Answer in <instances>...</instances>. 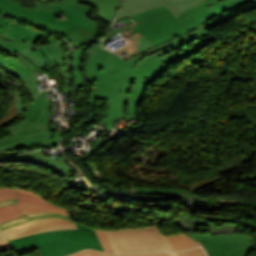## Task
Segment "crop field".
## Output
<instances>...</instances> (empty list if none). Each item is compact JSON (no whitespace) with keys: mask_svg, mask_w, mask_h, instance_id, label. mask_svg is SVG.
I'll return each mask as SVG.
<instances>
[{"mask_svg":"<svg viewBox=\"0 0 256 256\" xmlns=\"http://www.w3.org/2000/svg\"><path fill=\"white\" fill-rule=\"evenodd\" d=\"M230 13L128 61L99 47L102 40L73 50L76 89L84 85H94L88 102L93 112L88 120H81L80 126L92 122L97 98L108 99L109 102L105 130L112 129L115 120L125 118L126 112L136 113L147 83H152L170 64L181 61L212 42L215 37L204 28L230 16Z\"/></svg>","mask_w":256,"mask_h":256,"instance_id":"obj_1","label":"crop field"},{"mask_svg":"<svg viewBox=\"0 0 256 256\" xmlns=\"http://www.w3.org/2000/svg\"><path fill=\"white\" fill-rule=\"evenodd\" d=\"M236 8L230 0H206L177 14L185 26L166 6L132 15L129 18L138 32L157 46Z\"/></svg>","mask_w":256,"mask_h":256,"instance_id":"obj_2","label":"crop field"},{"mask_svg":"<svg viewBox=\"0 0 256 256\" xmlns=\"http://www.w3.org/2000/svg\"><path fill=\"white\" fill-rule=\"evenodd\" d=\"M19 5V2L12 0H0V14L11 17L17 11L36 19L75 25L87 32L93 40L99 34L100 27L88 18L94 10L89 5H82L78 0H62L48 4L38 3L35 10Z\"/></svg>","mask_w":256,"mask_h":256,"instance_id":"obj_3","label":"crop field"},{"mask_svg":"<svg viewBox=\"0 0 256 256\" xmlns=\"http://www.w3.org/2000/svg\"><path fill=\"white\" fill-rule=\"evenodd\" d=\"M44 34L21 24L17 28L7 25L0 35V51L17 57L35 72L55 67L46 45L33 46Z\"/></svg>","mask_w":256,"mask_h":256,"instance_id":"obj_4","label":"crop field"},{"mask_svg":"<svg viewBox=\"0 0 256 256\" xmlns=\"http://www.w3.org/2000/svg\"><path fill=\"white\" fill-rule=\"evenodd\" d=\"M77 227L78 229L42 232L10 240L9 242L12 247H14L34 238L41 256H65L85 248H93L103 251L93 229L81 225H77Z\"/></svg>","mask_w":256,"mask_h":256,"instance_id":"obj_5","label":"crop field"},{"mask_svg":"<svg viewBox=\"0 0 256 256\" xmlns=\"http://www.w3.org/2000/svg\"><path fill=\"white\" fill-rule=\"evenodd\" d=\"M115 252H174L157 226L105 231Z\"/></svg>","mask_w":256,"mask_h":256,"instance_id":"obj_6","label":"crop field"},{"mask_svg":"<svg viewBox=\"0 0 256 256\" xmlns=\"http://www.w3.org/2000/svg\"><path fill=\"white\" fill-rule=\"evenodd\" d=\"M188 235L193 237L204 247L208 256H247L251 250L256 248L243 233L224 235Z\"/></svg>","mask_w":256,"mask_h":256,"instance_id":"obj_7","label":"crop field"},{"mask_svg":"<svg viewBox=\"0 0 256 256\" xmlns=\"http://www.w3.org/2000/svg\"><path fill=\"white\" fill-rule=\"evenodd\" d=\"M204 0H124L123 5L117 15L121 18L137 12H141L159 5L168 6L173 13L177 14L191 6H194ZM237 6L253 0H231Z\"/></svg>","mask_w":256,"mask_h":256,"instance_id":"obj_8","label":"crop field"},{"mask_svg":"<svg viewBox=\"0 0 256 256\" xmlns=\"http://www.w3.org/2000/svg\"><path fill=\"white\" fill-rule=\"evenodd\" d=\"M10 135L19 147H51L54 133L29 121H23L9 129ZM51 140V142H49Z\"/></svg>","mask_w":256,"mask_h":256,"instance_id":"obj_9","label":"crop field"},{"mask_svg":"<svg viewBox=\"0 0 256 256\" xmlns=\"http://www.w3.org/2000/svg\"><path fill=\"white\" fill-rule=\"evenodd\" d=\"M12 18H15L17 20L57 33L67 38L75 47L93 41L88 34H86L83 30L75 26L36 20V19L25 17L16 12L12 16Z\"/></svg>","mask_w":256,"mask_h":256,"instance_id":"obj_10","label":"crop field"},{"mask_svg":"<svg viewBox=\"0 0 256 256\" xmlns=\"http://www.w3.org/2000/svg\"><path fill=\"white\" fill-rule=\"evenodd\" d=\"M65 228H76L74 221L58 219V218H48L39 219L25 224H21L4 231L7 239H14L29 234L52 230V229H65Z\"/></svg>","mask_w":256,"mask_h":256,"instance_id":"obj_11","label":"crop field"},{"mask_svg":"<svg viewBox=\"0 0 256 256\" xmlns=\"http://www.w3.org/2000/svg\"><path fill=\"white\" fill-rule=\"evenodd\" d=\"M10 162H18V163H30L37 164L48 168L51 172L60 174L63 172L74 171V169L69 166L61 156L56 158L48 157L46 158L40 152H30V153H21L15 154L6 157H0L1 163H10Z\"/></svg>","mask_w":256,"mask_h":256,"instance_id":"obj_12","label":"crop field"},{"mask_svg":"<svg viewBox=\"0 0 256 256\" xmlns=\"http://www.w3.org/2000/svg\"><path fill=\"white\" fill-rule=\"evenodd\" d=\"M99 192L110 196H116L120 198H141V199H176V198H186L180 195L179 191L172 190H150V189H130L126 196L120 195L118 192H113L100 188Z\"/></svg>","mask_w":256,"mask_h":256,"instance_id":"obj_13","label":"crop field"},{"mask_svg":"<svg viewBox=\"0 0 256 256\" xmlns=\"http://www.w3.org/2000/svg\"><path fill=\"white\" fill-rule=\"evenodd\" d=\"M36 99L28 107V111H25L23 118L46 129L49 118V100L45 91L41 92Z\"/></svg>","mask_w":256,"mask_h":256,"instance_id":"obj_14","label":"crop field"},{"mask_svg":"<svg viewBox=\"0 0 256 256\" xmlns=\"http://www.w3.org/2000/svg\"><path fill=\"white\" fill-rule=\"evenodd\" d=\"M127 40V45L114 51V53L118 55L125 51L128 52L129 54L125 56L127 60L132 56L146 52L154 47V45H152L139 33L127 38Z\"/></svg>","mask_w":256,"mask_h":256,"instance_id":"obj_15","label":"crop field"},{"mask_svg":"<svg viewBox=\"0 0 256 256\" xmlns=\"http://www.w3.org/2000/svg\"><path fill=\"white\" fill-rule=\"evenodd\" d=\"M97 8V16L111 24V21L119 7L120 0H81Z\"/></svg>","mask_w":256,"mask_h":256,"instance_id":"obj_16","label":"crop field"},{"mask_svg":"<svg viewBox=\"0 0 256 256\" xmlns=\"http://www.w3.org/2000/svg\"><path fill=\"white\" fill-rule=\"evenodd\" d=\"M0 68H3L7 73L14 77H21L32 73V69L22 63L15 57L7 59L0 56ZM24 68V69H23Z\"/></svg>","mask_w":256,"mask_h":256,"instance_id":"obj_17","label":"crop field"},{"mask_svg":"<svg viewBox=\"0 0 256 256\" xmlns=\"http://www.w3.org/2000/svg\"><path fill=\"white\" fill-rule=\"evenodd\" d=\"M48 217H58V218H65V219H71V216L64 215L62 213H57V212H37V213H31L24 215L20 218H17L13 221L6 222L3 224H0L1 230H5L7 228L13 227L15 225L25 223L31 220L39 219V218H48ZM72 220V219H71Z\"/></svg>","mask_w":256,"mask_h":256,"instance_id":"obj_18","label":"crop field"},{"mask_svg":"<svg viewBox=\"0 0 256 256\" xmlns=\"http://www.w3.org/2000/svg\"><path fill=\"white\" fill-rule=\"evenodd\" d=\"M18 191V200L19 204H34L39 206H46L51 208H57L66 210L69 212L68 209L53 206L49 203H47L45 200H43L39 195L32 193L31 191L23 190V189H17Z\"/></svg>","mask_w":256,"mask_h":256,"instance_id":"obj_19","label":"crop field"},{"mask_svg":"<svg viewBox=\"0 0 256 256\" xmlns=\"http://www.w3.org/2000/svg\"><path fill=\"white\" fill-rule=\"evenodd\" d=\"M174 251L184 250L199 246L195 241L184 234L166 236Z\"/></svg>","mask_w":256,"mask_h":256,"instance_id":"obj_20","label":"crop field"},{"mask_svg":"<svg viewBox=\"0 0 256 256\" xmlns=\"http://www.w3.org/2000/svg\"><path fill=\"white\" fill-rule=\"evenodd\" d=\"M57 65L70 64L67 49H61L60 44L47 45Z\"/></svg>","mask_w":256,"mask_h":256,"instance_id":"obj_21","label":"crop field"},{"mask_svg":"<svg viewBox=\"0 0 256 256\" xmlns=\"http://www.w3.org/2000/svg\"><path fill=\"white\" fill-rule=\"evenodd\" d=\"M20 90H21V85H17V88L15 89L14 97H13V100H12V102L14 103V105L18 109L17 115L14 118H12L10 121H8L5 124L1 125L0 128L5 126L6 124L12 122L17 117L22 118V116L24 114V111H22V107L27 106L28 102L25 101V99L22 96L23 94L20 92Z\"/></svg>","mask_w":256,"mask_h":256,"instance_id":"obj_22","label":"crop field"},{"mask_svg":"<svg viewBox=\"0 0 256 256\" xmlns=\"http://www.w3.org/2000/svg\"><path fill=\"white\" fill-rule=\"evenodd\" d=\"M41 72L45 73V71H40V72H37V73H41ZM34 74H36V73H34ZM19 79L25 85V89H26L30 99L32 100L33 98H35L39 91L36 87L37 84H36V81L34 79L33 74L21 77ZM29 83H31V85H29Z\"/></svg>","mask_w":256,"mask_h":256,"instance_id":"obj_23","label":"crop field"},{"mask_svg":"<svg viewBox=\"0 0 256 256\" xmlns=\"http://www.w3.org/2000/svg\"><path fill=\"white\" fill-rule=\"evenodd\" d=\"M21 215L17 204L0 207V223Z\"/></svg>","mask_w":256,"mask_h":256,"instance_id":"obj_24","label":"crop field"},{"mask_svg":"<svg viewBox=\"0 0 256 256\" xmlns=\"http://www.w3.org/2000/svg\"><path fill=\"white\" fill-rule=\"evenodd\" d=\"M21 208V211L23 214L31 213V212H37V211H57V212H62L64 214L70 215V213L61 211V210H56V209H51V208H46V207H39V206H34V205H19Z\"/></svg>","mask_w":256,"mask_h":256,"instance_id":"obj_25","label":"crop field"},{"mask_svg":"<svg viewBox=\"0 0 256 256\" xmlns=\"http://www.w3.org/2000/svg\"><path fill=\"white\" fill-rule=\"evenodd\" d=\"M123 30H126L128 33H125L123 32ZM120 33L122 36H124L125 38L137 33V30L135 29V27L133 26V24L131 25H128V26H125V27H122V28H119V29H116V30H113V31H110L108 32L107 36L105 39L115 35L116 33Z\"/></svg>","mask_w":256,"mask_h":256,"instance_id":"obj_26","label":"crop field"},{"mask_svg":"<svg viewBox=\"0 0 256 256\" xmlns=\"http://www.w3.org/2000/svg\"><path fill=\"white\" fill-rule=\"evenodd\" d=\"M99 240H100V243L104 249L105 252H110V253H114L105 233H104V230H95Z\"/></svg>","mask_w":256,"mask_h":256,"instance_id":"obj_27","label":"crop field"},{"mask_svg":"<svg viewBox=\"0 0 256 256\" xmlns=\"http://www.w3.org/2000/svg\"><path fill=\"white\" fill-rule=\"evenodd\" d=\"M19 149L10 136L0 139V151Z\"/></svg>","mask_w":256,"mask_h":256,"instance_id":"obj_28","label":"crop field"},{"mask_svg":"<svg viewBox=\"0 0 256 256\" xmlns=\"http://www.w3.org/2000/svg\"><path fill=\"white\" fill-rule=\"evenodd\" d=\"M16 198L15 188L0 187V201Z\"/></svg>","mask_w":256,"mask_h":256,"instance_id":"obj_29","label":"crop field"},{"mask_svg":"<svg viewBox=\"0 0 256 256\" xmlns=\"http://www.w3.org/2000/svg\"><path fill=\"white\" fill-rule=\"evenodd\" d=\"M69 68L70 65L59 66L60 76L65 79L66 87H71Z\"/></svg>","mask_w":256,"mask_h":256,"instance_id":"obj_30","label":"crop field"},{"mask_svg":"<svg viewBox=\"0 0 256 256\" xmlns=\"http://www.w3.org/2000/svg\"><path fill=\"white\" fill-rule=\"evenodd\" d=\"M70 256H116L115 254H106L102 252H97L93 250H84L81 252H78L76 254L70 255Z\"/></svg>","mask_w":256,"mask_h":256,"instance_id":"obj_31","label":"crop field"},{"mask_svg":"<svg viewBox=\"0 0 256 256\" xmlns=\"http://www.w3.org/2000/svg\"><path fill=\"white\" fill-rule=\"evenodd\" d=\"M178 256H206L202 248L177 253Z\"/></svg>","mask_w":256,"mask_h":256,"instance_id":"obj_32","label":"crop field"},{"mask_svg":"<svg viewBox=\"0 0 256 256\" xmlns=\"http://www.w3.org/2000/svg\"><path fill=\"white\" fill-rule=\"evenodd\" d=\"M120 132V131H119ZM118 132V133H119ZM116 135V134H115ZM113 139H115V138H109V136L108 137H106L104 140H102V141H100V140H98V139H96L95 140V142H94V147H96V149H95V152L97 151V150H99L100 148H102V147H105L106 146V143L108 142V141H110V140H113ZM94 152V153H95ZM86 156H88V157H91L93 154L92 153H86L85 154Z\"/></svg>","mask_w":256,"mask_h":256,"instance_id":"obj_33","label":"crop field"},{"mask_svg":"<svg viewBox=\"0 0 256 256\" xmlns=\"http://www.w3.org/2000/svg\"><path fill=\"white\" fill-rule=\"evenodd\" d=\"M117 256H167L166 253H131V254H116Z\"/></svg>","mask_w":256,"mask_h":256,"instance_id":"obj_34","label":"crop field"},{"mask_svg":"<svg viewBox=\"0 0 256 256\" xmlns=\"http://www.w3.org/2000/svg\"><path fill=\"white\" fill-rule=\"evenodd\" d=\"M10 249V246L0 230V251Z\"/></svg>","mask_w":256,"mask_h":256,"instance_id":"obj_35","label":"crop field"},{"mask_svg":"<svg viewBox=\"0 0 256 256\" xmlns=\"http://www.w3.org/2000/svg\"><path fill=\"white\" fill-rule=\"evenodd\" d=\"M33 245H35V242L32 239V240H30L28 242H25L23 244H20V245L14 247L13 249H14V251L18 252L20 250H23V249L28 248V247L33 246Z\"/></svg>","mask_w":256,"mask_h":256,"instance_id":"obj_36","label":"crop field"},{"mask_svg":"<svg viewBox=\"0 0 256 256\" xmlns=\"http://www.w3.org/2000/svg\"><path fill=\"white\" fill-rule=\"evenodd\" d=\"M63 132L62 131H57L54 138H53V143H52V147H57L58 142L60 140V138L62 137Z\"/></svg>","mask_w":256,"mask_h":256,"instance_id":"obj_37","label":"crop field"},{"mask_svg":"<svg viewBox=\"0 0 256 256\" xmlns=\"http://www.w3.org/2000/svg\"><path fill=\"white\" fill-rule=\"evenodd\" d=\"M8 22H9V20L3 19L0 17V34L3 31V29L6 27Z\"/></svg>","mask_w":256,"mask_h":256,"instance_id":"obj_38","label":"crop field"},{"mask_svg":"<svg viewBox=\"0 0 256 256\" xmlns=\"http://www.w3.org/2000/svg\"><path fill=\"white\" fill-rule=\"evenodd\" d=\"M17 203L16 199L8 200V201H2L0 202V206L9 205V204H15Z\"/></svg>","mask_w":256,"mask_h":256,"instance_id":"obj_39","label":"crop field"},{"mask_svg":"<svg viewBox=\"0 0 256 256\" xmlns=\"http://www.w3.org/2000/svg\"><path fill=\"white\" fill-rule=\"evenodd\" d=\"M34 249H37V246H36V245L33 246V247H30V248H28V249H25V250H23V251H20V252H18L17 254L20 255V254L26 253V252L31 251V250H34Z\"/></svg>","mask_w":256,"mask_h":256,"instance_id":"obj_40","label":"crop field"},{"mask_svg":"<svg viewBox=\"0 0 256 256\" xmlns=\"http://www.w3.org/2000/svg\"><path fill=\"white\" fill-rule=\"evenodd\" d=\"M9 25H12V26L17 27L18 23H15V22L10 21V22H9Z\"/></svg>","mask_w":256,"mask_h":256,"instance_id":"obj_41","label":"crop field"},{"mask_svg":"<svg viewBox=\"0 0 256 256\" xmlns=\"http://www.w3.org/2000/svg\"><path fill=\"white\" fill-rule=\"evenodd\" d=\"M169 256H176L175 253H168Z\"/></svg>","mask_w":256,"mask_h":256,"instance_id":"obj_42","label":"crop field"}]
</instances>
